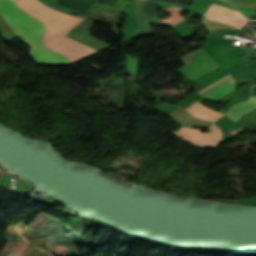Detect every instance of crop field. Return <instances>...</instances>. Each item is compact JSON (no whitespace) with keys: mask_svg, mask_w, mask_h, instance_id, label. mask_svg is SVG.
<instances>
[{"mask_svg":"<svg viewBox=\"0 0 256 256\" xmlns=\"http://www.w3.org/2000/svg\"><path fill=\"white\" fill-rule=\"evenodd\" d=\"M163 10L166 11L167 13H169L170 15H172L173 17L161 20L160 22L162 25L172 26V25L184 20V18L180 14L185 11H183L177 7L164 8Z\"/></svg>","mask_w":256,"mask_h":256,"instance_id":"crop-field-9","label":"crop field"},{"mask_svg":"<svg viewBox=\"0 0 256 256\" xmlns=\"http://www.w3.org/2000/svg\"><path fill=\"white\" fill-rule=\"evenodd\" d=\"M0 15L31 49L29 53L37 62L69 64L66 57L43 46L41 35L45 26L20 10L13 0H0Z\"/></svg>","mask_w":256,"mask_h":256,"instance_id":"crop-field-2","label":"crop field"},{"mask_svg":"<svg viewBox=\"0 0 256 256\" xmlns=\"http://www.w3.org/2000/svg\"><path fill=\"white\" fill-rule=\"evenodd\" d=\"M219 67V65L201 48L194 61L179 69L191 80Z\"/></svg>","mask_w":256,"mask_h":256,"instance_id":"crop-field-4","label":"crop field"},{"mask_svg":"<svg viewBox=\"0 0 256 256\" xmlns=\"http://www.w3.org/2000/svg\"><path fill=\"white\" fill-rule=\"evenodd\" d=\"M229 27H231V26H229ZM234 28V27H233Z\"/></svg>","mask_w":256,"mask_h":256,"instance_id":"crop-field-11","label":"crop field"},{"mask_svg":"<svg viewBox=\"0 0 256 256\" xmlns=\"http://www.w3.org/2000/svg\"><path fill=\"white\" fill-rule=\"evenodd\" d=\"M256 108V97L252 96L249 101L235 105L226 115L235 122L245 113Z\"/></svg>","mask_w":256,"mask_h":256,"instance_id":"crop-field-8","label":"crop field"},{"mask_svg":"<svg viewBox=\"0 0 256 256\" xmlns=\"http://www.w3.org/2000/svg\"><path fill=\"white\" fill-rule=\"evenodd\" d=\"M209 10L219 12V13H223V14H226L228 16L238 18V19H241V20H245V21L248 20L236 11L229 10V9H226V8H223V7H220V6H216V5H213V4H211ZM210 11H207L204 14L209 19L225 22V23H228L232 26H237V27H243L244 24H245V21H241V20H238V19L228 17V16L223 15V14L214 13V12H210Z\"/></svg>","mask_w":256,"mask_h":256,"instance_id":"crop-field-6","label":"crop field"},{"mask_svg":"<svg viewBox=\"0 0 256 256\" xmlns=\"http://www.w3.org/2000/svg\"><path fill=\"white\" fill-rule=\"evenodd\" d=\"M146 3V0H135V14L137 17L141 36L153 34L148 24L145 12Z\"/></svg>","mask_w":256,"mask_h":256,"instance_id":"crop-field-7","label":"crop field"},{"mask_svg":"<svg viewBox=\"0 0 256 256\" xmlns=\"http://www.w3.org/2000/svg\"><path fill=\"white\" fill-rule=\"evenodd\" d=\"M209 130L210 132L200 133L199 129L181 127L172 133L198 146H217L222 137L220 128L213 124Z\"/></svg>","mask_w":256,"mask_h":256,"instance_id":"crop-field-3","label":"crop field"},{"mask_svg":"<svg viewBox=\"0 0 256 256\" xmlns=\"http://www.w3.org/2000/svg\"><path fill=\"white\" fill-rule=\"evenodd\" d=\"M156 1L164 2V3L171 4V5H174V6H177V7L181 8V5L175 4V3H172V2H168V1H165V0H156Z\"/></svg>","mask_w":256,"mask_h":256,"instance_id":"crop-field-10","label":"crop field"},{"mask_svg":"<svg viewBox=\"0 0 256 256\" xmlns=\"http://www.w3.org/2000/svg\"><path fill=\"white\" fill-rule=\"evenodd\" d=\"M232 90L233 79L229 74L197 93L214 102Z\"/></svg>","mask_w":256,"mask_h":256,"instance_id":"crop-field-5","label":"crop field"},{"mask_svg":"<svg viewBox=\"0 0 256 256\" xmlns=\"http://www.w3.org/2000/svg\"><path fill=\"white\" fill-rule=\"evenodd\" d=\"M26 12L45 23L47 30L43 43L48 48L66 56L70 61L97 52V50L64 36L83 19L54 11L38 0H15Z\"/></svg>","mask_w":256,"mask_h":256,"instance_id":"crop-field-1","label":"crop field"}]
</instances>
